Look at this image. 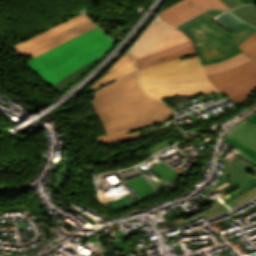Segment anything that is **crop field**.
<instances>
[{"instance_id": "34b2d1b8", "label": "crop field", "mask_w": 256, "mask_h": 256, "mask_svg": "<svg viewBox=\"0 0 256 256\" xmlns=\"http://www.w3.org/2000/svg\"><path fill=\"white\" fill-rule=\"evenodd\" d=\"M198 57L181 58L138 70L139 84L154 98L180 94L202 95L220 92L206 77Z\"/></svg>"}, {"instance_id": "d8731c3e", "label": "crop field", "mask_w": 256, "mask_h": 256, "mask_svg": "<svg viewBox=\"0 0 256 256\" xmlns=\"http://www.w3.org/2000/svg\"><path fill=\"white\" fill-rule=\"evenodd\" d=\"M97 26L90 20H86L62 33H59L19 54L27 55L30 57H35L39 54H42L48 50H51Z\"/></svg>"}, {"instance_id": "22f410ed", "label": "crop field", "mask_w": 256, "mask_h": 256, "mask_svg": "<svg viewBox=\"0 0 256 256\" xmlns=\"http://www.w3.org/2000/svg\"><path fill=\"white\" fill-rule=\"evenodd\" d=\"M134 62H130L124 66H121L107 74H105L101 79H99L92 87H90L88 90H93L95 88L100 87L101 85L113 80L118 79L121 76L125 74H129L131 72H136V66H133Z\"/></svg>"}, {"instance_id": "cbeb9de0", "label": "crop field", "mask_w": 256, "mask_h": 256, "mask_svg": "<svg viewBox=\"0 0 256 256\" xmlns=\"http://www.w3.org/2000/svg\"><path fill=\"white\" fill-rule=\"evenodd\" d=\"M210 206L212 209H210V210H208V211H206L188 221H186L184 219V217H182L181 219H177L174 223H171V226L177 227V226L189 224V223H192L200 218H203V217L207 218V217H210V216H213V215H216V214H219V213L229 210V208L227 206L223 205L222 203H220L219 200L210 204Z\"/></svg>"}, {"instance_id": "8a807250", "label": "crop field", "mask_w": 256, "mask_h": 256, "mask_svg": "<svg viewBox=\"0 0 256 256\" xmlns=\"http://www.w3.org/2000/svg\"><path fill=\"white\" fill-rule=\"evenodd\" d=\"M92 95L96 97L89 103L106 135L133 132L174 118L168 105L141 90L136 73L123 76Z\"/></svg>"}, {"instance_id": "5142ce71", "label": "crop field", "mask_w": 256, "mask_h": 256, "mask_svg": "<svg viewBox=\"0 0 256 256\" xmlns=\"http://www.w3.org/2000/svg\"><path fill=\"white\" fill-rule=\"evenodd\" d=\"M231 11L236 15H238L242 20H244L248 24L256 27V6L255 5L251 4V5L241 6Z\"/></svg>"}, {"instance_id": "3316defc", "label": "crop field", "mask_w": 256, "mask_h": 256, "mask_svg": "<svg viewBox=\"0 0 256 256\" xmlns=\"http://www.w3.org/2000/svg\"><path fill=\"white\" fill-rule=\"evenodd\" d=\"M86 19H88V17H86L84 14L76 16V17H74V18H72V19H70V20H68V21H66V22L48 30V31H45V32H43V33L25 41V42H22L20 44H17L15 46H13V49H15L18 53V52H20V51L38 43V42H41V41H43V40H45V39H47V38H49L53 35L65 30V29H67V28L71 27V26H74V25H76V24H78V23H80V22H82Z\"/></svg>"}, {"instance_id": "d9b57169", "label": "crop field", "mask_w": 256, "mask_h": 256, "mask_svg": "<svg viewBox=\"0 0 256 256\" xmlns=\"http://www.w3.org/2000/svg\"><path fill=\"white\" fill-rule=\"evenodd\" d=\"M256 195V186H254L253 188H251L250 190L246 191L245 193L241 194L240 196L232 199L231 201L225 203L227 206H229L230 208L243 203L249 199H251L252 197H254Z\"/></svg>"}, {"instance_id": "28ad6ade", "label": "crop field", "mask_w": 256, "mask_h": 256, "mask_svg": "<svg viewBox=\"0 0 256 256\" xmlns=\"http://www.w3.org/2000/svg\"><path fill=\"white\" fill-rule=\"evenodd\" d=\"M228 137L256 151V128L253 129L243 123L233 130Z\"/></svg>"}, {"instance_id": "f4fd0767", "label": "crop field", "mask_w": 256, "mask_h": 256, "mask_svg": "<svg viewBox=\"0 0 256 256\" xmlns=\"http://www.w3.org/2000/svg\"><path fill=\"white\" fill-rule=\"evenodd\" d=\"M253 60L236 68L207 75L233 101L241 103L256 88V49L247 54Z\"/></svg>"}, {"instance_id": "733c2abd", "label": "crop field", "mask_w": 256, "mask_h": 256, "mask_svg": "<svg viewBox=\"0 0 256 256\" xmlns=\"http://www.w3.org/2000/svg\"><path fill=\"white\" fill-rule=\"evenodd\" d=\"M140 136L139 132H133L128 134H121V135H115V136H101L98 137V142H115V141H121L129 138H134Z\"/></svg>"}, {"instance_id": "214f88e0", "label": "crop field", "mask_w": 256, "mask_h": 256, "mask_svg": "<svg viewBox=\"0 0 256 256\" xmlns=\"http://www.w3.org/2000/svg\"><path fill=\"white\" fill-rule=\"evenodd\" d=\"M230 9L239 5H245L241 0H222Z\"/></svg>"}, {"instance_id": "92a150f3", "label": "crop field", "mask_w": 256, "mask_h": 256, "mask_svg": "<svg viewBox=\"0 0 256 256\" xmlns=\"http://www.w3.org/2000/svg\"><path fill=\"white\" fill-rule=\"evenodd\" d=\"M245 4L256 2V0H242Z\"/></svg>"}, {"instance_id": "bc2a9ffb", "label": "crop field", "mask_w": 256, "mask_h": 256, "mask_svg": "<svg viewBox=\"0 0 256 256\" xmlns=\"http://www.w3.org/2000/svg\"><path fill=\"white\" fill-rule=\"evenodd\" d=\"M132 60H133V57L131 56V54L128 50L127 53L124 56H122L107 72H109V71L129 62V61H132Z\"/></svg>"}, {"instance_id": "dd49c442", "label": "crop field", "mask_w": 256, "mask_h": 256, "mask_svg": "<svg viewBox=\"0 0 256 256\" xmlns=\"http://www.w3.org/2000/svg\"><path fill=\"white\" fill-rule=\"evenodd\" d=\"M187 40L190 37L181 30L156 20L131 51L137 60Z\"/></svg>"}, {"instance_id": "412701ff", "label": "crop field", "mask_w": 256, "mask_h": 256, "mask_svg": "<svg viewBox=\"0 0 256 256\" xmlns=\"http://www.w3.org/2000/svg\"><path fill=\"white\" fill-rule=\"evenodd\" d=\"M220 12L222 11L209 10L178 27L192 38L203 64L223 61L239 53L236 47L256 31L245 23L229 34L211 21Z\"/></svg>"}, {"instance_id": "5a996713", "label": "crop field", "mask_w": 256, "mask_h": 256, "mask_svg": "<svg viewBox=\"0 0 256 256\" xmlns=\"http://www.w3.org/2000/svg\"><path fill=\"white\" fill-rule=\"evenodd\" d=\"M192 54H196V50L193 45V42L190 40L182 44L168 48L166 50H163L161 52H158L156 54H153L151 56L139 59L136 61V65L137 68L139 69L149 65L174 60L179 57H184Z\"/></svg>"}, {"instance_id": "e52e79f7", "label": "crop field", "mask_w": 256, "mask_h": 256, "mask_svg": "<svg viewBox=\"0 0 256 256\" xmlns=\"http://www.w3.org/2000/svg\"><path fill=\"white\" fill-rule=\"evenodd\" d=\"M211 8L229 9L221 0H182L161 11L160 19L172 26H178Z\"/></svg>"}, {"instance_id": "4a817a6b", "label": "crop field", "mask_w": 256, "mask_h": 256, "mask_svg": "<svg viewBox=\"0 0 256 256\" xmlns=\"http://www.w3.org/2000/svg\"><path fill=\"white\" fill-rule=\"evenodd\" d=\"M255 48H256V33L239 46V49L244 51L246 54Z\"/></svg>"}, {"instance_id": "d1516ede", "label": "crop field", "mask_w": 256, "mask_h": 256, "mask_svg": "<svg viewBox=\"0 0 256 256\" xmlns=\"http://www.w3.org/2000/svg\"><path fill=\"white\" fill-rule=\"evenodd\" d=\"M251 60V58H249L245 53L241 52L240 54L227 59L223 62H218V63H214L211 65H204V69L206 74L209 73H213V72H218V71H223V70H227L233 67H236L240 64H243L247 61Z\"/></svg>"}, {"instance_id": "ac0d7876", "label": "crop field", "mask_w": 256, "mask_h": 256, "mask_svg": "<svg viewBox=\"0 0 256 256\" xmlns=\"http://www.w3.org/2000/svg\"><path fill=\"white\" fill-rule=\"evenodd\" d=\"M99 28L27 62V67L58 93L79 78L113 45Z\"/></svg>"}]
</instances>
